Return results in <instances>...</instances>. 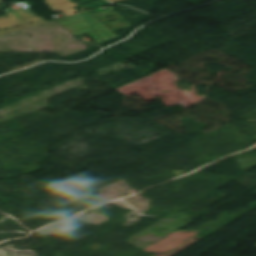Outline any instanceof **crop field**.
<instances>
[{
    "instance_id": "1",
    "label": "crop field",
    "mask_w": 256,
    "mask_h": 256,
    "mask_svg": "<svg viewBox=\"0 0 256 256\" xmlns=\"http://www.w3.org/2000/svg\"><path fill=\"white\" fill-rule=\"evenodd\" d=\"M57 22H59L66 29L70 30V32L75 36L88 33L99 44H101L102 41L96 34H98L104 41L118 38V36H116L87 12L60 19L57 20Z\"/></svg>"
},
{
    "instance_id": "2",
    "label": "crop field",
    "mask_w": 256,
    "mask_h": 256,
    "mask_svg": "<svg viewBox=\"0 0 256 256\" xmlns=\"http://www.w3.org/2000/svg\"><path fill=\"white\" fill-rule=\"evenodd\" d=\"M106 4H109V2H107L105 0H102V1L95 2V3L87 4V5L92 7V8H96V7H99V6H102V5H106Z\"/></svg>"
},
{
    "instance_id": "3",
    "label": "crop field",
    "mask_w": 256,
    "mask_h": 256,
    "mask_svg": "<svg viewBox=\"0 0 256 256\" xmlns=\"http://www.w3.org/2000/svg\"><path fill=\"white\" fill-rule=\"evenodd\" d=\"M72 2L80 5V4H84V3H87V2H90V1H94V0H71Z\"/></svg>"
}]
</instances>
